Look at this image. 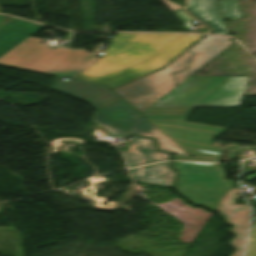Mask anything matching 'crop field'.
I'll list each match as a JSON object with an SVG mask.
<instances>
[{
  "instance_id": "obj_1",
  "label": "crop field",
  "mask_w": 256,
  "mask_h": 256,
  "mask_svg": "<svg viewBox=\"0 0 256 256\" xmlns=\"http://www.w3.org/2000/svg\"><path fill=\"white\" fill-rule=\"evenodd\" d=\"M203 37L188 34L166 47L118 33L103 58L75 78L117 87L160 69Z\"/></svg>"
},
{
  "instance_id": "obj_2",
  "label": "crop field",
  "mask_w": 256,
  "mask_h": 256,
  "mask_svg": "<svg viewBox=\"0 0 256 256\" xmlns=\"http://www.w3.org/2000/svg\"><path fill=\"white\" fill-rule=\"evenodd\" d=\"M43 27L15 18L0 27V66L73 78L100 59L86 51L54 50L29 37Z\"/></svg>"
},
{
  "instance_id": "obj_3",
  "label": "crop field",
  "mask_w": 256,
  "mask_h": 256,
  "mask_svg": "<svg viewBox=\"0 0 256 256\" xmlns=\"http://www.w3.org/2000/svg\"><path fill=\"white\" fill-rule=\"evenodd\" d=\"M230 45L227 37L207 36L164 69L112 91L141 113Z\"/></svg>"
},
{
  "instance_id": "obj_4",
  "label": "crop field",
  "mask_w": 256,
  "mask_h": 256,
  "mask_svg": "<svg viewBox=\"0 0 256 256\" xmlns=\"http://www.w3.org/2000/svg\"><path fill=\"white\" fill-rule=\"evenodd\" d=\"M248 77H190L153 107H238Z\"/></svg>"
},
{
  "instance_id": "obj_5",
  "label": "crop field",
  "mask_w": 256,
  "mask_h": 256,
  "mask_svg": "<svg viewBox=\"0 0 256 256\" xmlns=\"http://www.w3.org/2000/svg\"><path fill=\"white\" fill-rule=\"evenodd\" d=\"M99 112L138 136L155 138L159 145V150L161 151L174 153L176 155L189 156V154L184 152L123 100L117 101L99 110Z\"/></svg>"
},
{
  "instance_id": "obj_6",
  "label": "crop field",
  "mask_w": 256,
  "mask_h": 256,
  "mask_svg": "<svg viewBox=\"0 0 256 256\" xmlns=\"http://www.w3.org/2000/svg\"><path fill=\"white\" fill-rule=\"evenodd\" d=\"M93 120L96 124L106 128L109 136L132 137L128 151H123L129 167L141 166L168 159V154L157 152L152 140L139 138L130 134L97 112L94 114Z\"/></svg>"
},
{
  "instance_id": "obj_7",
  "label": "crop field",
  "mask_w": 256,
  "mask_h": 256,
  "mask_svg": "<svg viewBox=\"0 0 256 256\" xmlns=\"http://www.w3.org/2000/svg\"><path fill=\"white\" fill-rule=\"evenodd\" d=\"M62 79L64 78L56 77L51 88L87 101L97 110L119 99L105 85L76 79L66 81Z\"/></svg>"
},
{
  "instance_id": "obj_8",
  "label": "crop field",
  "mask_w": 256,
  "mask_h": 256,
  "mask_svg": "<svg viewBox=\"0 0 256 256\" xmlns=\"http://www.w3.org/2000/svg\"><path fill=\"white\" fill-rule=\"evenodd\" d=\"M239 189H232L228 196L224 199V201L219 206L217 212L222 214L225 220L234 226V228L230 229V232L235 234L236 237L231 241V246L235 247L237 251L232 256H241L244 242L248 230L249 220V207L247 205H234L236 202L233 199H236L239 193Z\"/></svg>"
},
{
  "instance_id": "obj_9",
  "label": "crop field",
  "mask_w": 256,
  "mask_h": 256,
  "mask_svg": "<svg viewBox=\"0 0 256 256\" xmlns=\"http://www.w3.org/2000/svg\"><path fill=\"white\" fill-rule=\"evenodd\" d=\"M198 20L208 24L212 33L228 34L217 0H188L186 8Z\"/></svg>"
},
{
  "instance_id": "obj_10",
  "label": "crop field",
  "mask_w": 256,
  "mask_h": 256,
  "mask_svg": "<svg viewBox=\"0 0 256 256\" xmlns=\"http://www.w3.org/2000/svg\"><path fill=\"white\" fill-rule=\"evenodd\" d=\"M130 174L134 182L167 187H171L175 178V174L170 170L168 162L132 169Z\"/></svg>"
},
{
  "instance_id": "obj_11",
  "label": "crop field",
  "mask_w": 256,
  "mask_h": 256,
  "mask_svg": "<svg viewBox=\"0 0 256 256\" xmlns=\"http://www.w3.org/2000/svg\"><path fill=\"white\" fill-rule=\"evenodd\" d=\"M144 39H148L163 45H170L186 34H157V33H129Z\"/></svg>"
},
{
  "instance_id": "obj_12",
  "label": "crop field",
  "mask_w": 256,
  "mask_h": 256,
  "mask_svg": "<svg viewBox=\"0 0 256 256\" xmlns=\"http://www.w3.org/2000/svg\"><path fill=\"white\" fill-rule=\"evenodd\" d=\"M223 19L241 18L236 0H218Z\"/></svg>"
},
{
  "instance_id": "obj_13",
  "label": "crop field",
  "mask_w": 256,
  "mask_h": 256,
  "mask_svg": "<svg viewBox=\"0 0 256 256\" xmlns=\"http://www.w3.org/2000/svg\"><path fill=\"white\" fill-rule=\"evenodd\" d=\"M245 256H256V225L250 233Z\"/></svg>"
},
{
  "instance_id": "obj_14",
  "label": "crop field",
  "mask_w": 256,
  "mask_h": 256,
  "mask_svg": "<svg viewBox=\"0 0 256 256\" xmlns=\"http://www.w3.org/2000/svg\"><path fill=\"white\" fill-rule=\"evenodd\" d=\"M173 12L177 15V17H178L181 21L193 19L191 16H189V15H188L185 11H183L182 9L174 10Z\"/></svg>"
},
{
  "instance_id": "obj_15",
  "label": "crop field",
  "mask_w": 256,
  "mask_h": 256,
  "mask_svg": "<svg viewBox=\"0 0 256 256\" xmlns=\"http://www.w3.org/2000/svg\"><path fill=\"white\" fill-rule=\"evenodd\" d=\"M170 8L171 10L182 8L181 6L169 1V0H163Z\"/></svg>"
},
{
  "instance_id": "obj_16",
  "label": "crop field",
  "mask_w": 256,
  "mask_h": 256,
  "mask_svg": "<svg viewBox=\"0 0 256 256\" xmlns=\"http://www.w3.org/2000/svg\"><path fill=\"white\" fill-rule=\"evenodd\" d=\"M251 187L256 189V187H254V186H251Z\"/></svg>"
}]
</instances>
